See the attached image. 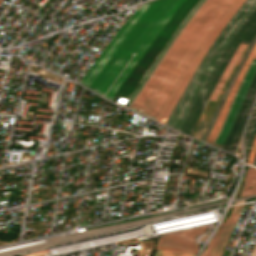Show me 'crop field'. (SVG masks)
I'll list each match as a JSON object with an SVG mask.
<instances>
[{"mask_svg":"<svg viewBox=\"0 0 256 256\" xmlns=\"http://www.w3.org/2000/svg\"><path fill=\"white\" fill-rule=\"evenodd\" d=\"M209 245H210V244H209ZM209 245L207 246V248L205 249V251L203 252V254H202L201 256H205L206 251H207V249H208Z\"/></svg>","mask_w":256,"mask_h":256,"instance_id":"dafd665d","label":"crop field"},{"mask_svg":"<svg viewBox=\"0 0 256 256\" xmlns=\"http://www.w3.org/2000/svg\"><path fill=\"white\" fill-rule=\"evenodd\" d=\"M255 152H256V139H255V142H254L253 147L251 149V152L249 154V158H248V162L247 163L251 164V162H252V160L254 158Z\"/></svg>","mask_w":256,"mask_h":256,"instance_id":"4a817a6b","label":"crop field"},{"mask_svg":"<svg viewBox=\"0 0 256 256\" xmlns=\"http://www.w3.org/2000/svg\"><path fill=\"white\" fill-rule=\"evenodd\" d=\"M205 0H199L197 4L194 6V8L190 11V13L187 15V17L184 19V21L181 23L179 28L176 30L174 35L171 37V39L168 41L166 46L163 48L161 53L158 55V57L155 59V61L152 63V65L149 67L139 84L136 86L130 97L127 99L126 103L124 104V107L130 108L131 104L135 100L136 96L140 92V90L143 88L145 83L147 82L149 76L151 75L152 71L156 67V65L159 63L163 55L166 53L168 50L169 46L173 43V41L176 39L180 31L183 29V27L187 24V22L190 20V18L195 14V12L200 8V6L203 4Z\"/></svg>","mask_w":256,"mask_h":256,"instance_id":"3316defc","label":"crop field"},{"mask_svg":"<svg viewBox=\"0 0 256 256\" xmlns=\"http://www.w3.org/2000/svg\"><path fill=\"white\" fill-rule=\"evenodd\" d=\"M255 97H256V73L250 83L247 94L236 115L234 125L230 133L228 134L222 146V149L229 151L233 154L235 153L241 132L243 130L244 124L246 122L247 116L249 114V111L251 109V106L254 102Z\"/></svg>","mask_w":256,"mask_h":256,"instance_id":"e52e79f7","label":"crop field"},{"mask_svg":"<svg viewBox=\"0 0 256 256\" xmlns=\"http://www.w3.org/2000/svg\"><path fill=\"white\" fill-rule=\"evenodd\" d=\"M255 137H256V121H255V124L253 126L252 132L250 134L249 140L247 142V146H246V150H245V163L247 161V157H248V154L250 152V149L252 147V144L254 142Z\"/></svg>","mask_w":256,"mask_h":256,"instance_id":"d9b57169","label":"crop field"},{"mask_svg":"<svg viewBox=\"0 0 256 256\" xmlns=\"http://www.w3.org/2000/svg\"><path fill=\"white\" fill-rule=\"evenodd\" d=\"M202 230L189 229L159 237L157 249L196 255L198 244L195 237Z\"/></svg>","mask_w":256,"mask_h":256,"instance_id":"d8731c3e","label":"crop field"},{"mask_svg":"<svg viewBox=\"0 0 256 256\" xmlns=\"http://www.w3.org/2000/svg\"><path fill=\"white\" fill-rule=\"evenodd\" d=\"M155 256H193V255H186V254H179V253H173V252H166V251H156Z\"/></svg>","mask_w":256,"mask_h":256,"instance_id":"733c2abd","label":"crop field"},{"mask_svg":"<svg viewBox=\"0 0 256 256\" xmlns=\"http://www.w3.org/2000/svg\"><path fill=\"white\" fill-rule=\"evenodd\" d=\"M255 42H256V36L254 37L253 41L251 42V44H250L248 50H247V51L245 52V54L243 55V57H242V59H241L239 65H238V67H237V69H236V71H235V73H234V75H233V77H232V79H231V81H230V83H229L227 89L225 90L223 96L221 97V99H220V101H219V103H218V105H217V107H216V109H215V112H214V114H213V116H212V118H211V120H210V123H209V125H208V127H207L205 133L203 134V136H202V138H201V141L205 142V140H206V138H207V136H208V134H209V132H210V130H211V128H212V126H213V124H214V122H215L217 116H218V114H219V111H220V109H221V107H222V105H223V103H224V101H225V99H226V97H227V95H228V93H229L231 87H232V85H233V83H234V81H235V79H236V77H237V75H238V73H239V71H240V69H241L243 63L245 62V60H246V58H247V56H248L250 50H251L252 47L254 46Z\"/></svg>","mask_w":256,"mask_h":256,"instance_id":"d1516ede","label":"crop field"},{"mask_svg":"<svg viewBox=\"0 0 256 256\" xmlns=\"http://www.w3.org/2000/svg\"><path fill=\"white\" fill-rule=\"evenodd\" d=\"M251 256H256V246H255V248H254V250H253Z\"/></svg>","mask_w":256,"mask_h":256,"instance_id":"214f88e0","label":"crop field"},{"mask_svg":"<svg viewBox=\"0 0 256 256\" xmlns=\"http://www.w3.org/2000/svg\"><path fill=\"white\" fill-rule=\"evenodd\" d=\"M232 2H204L157 65L130 110L155 119L189 60Z\"/></svg>","mask_w":256,"mask_h":256,"instance_id":"ac0d7876","label":"crop field"},{"mask_svg":"<svg viewBox=\"0 0 256 256\" xmlns=\"http://www.w3.org/2000/svg\"><path fill=\"white\" fill-rule=\"evenodd\" d=\"M197 1L198 0H186L180 6V8L177 10V12L165 26V28L153 41L147 52L144 54V56L141 58V60L138 62L135 68L132 70L128 78L116 92L111 101L116 102L119 96L128 98V96L131 94V92L135 88L136 84L138 83L142 75L145 73V71L148 69L150 64L155 59V57L164 47L171 34L179 26L183 18L192 9V7L196 4Z\"/></svg>","mask_w":256,"mask_h":256,"instance_id":"f4fd0767","label":"crop field"},{"mask_svg":"<svg viewBox=\"0 0 256 256\" xmlns=\"http://www.w3.org/2000/svg\"><path fill=\"white\" fill-rule=\"evenodd\" d=\"M256 70V61L252 60L243 79H242V82L239 86V89L234 97V100H233V103L230 107V110L228 112V115L225 119V122L218 134V136L216 137L215 139V142L219 143L222 145L224 139L226 138L228 132H229V129L234 121V118H235V115H236V112L241 104V101L247 91V88L249 86V83L252 79V76L254 74Z\"/></svg>","mask_w":256,"mask_h":256,"instance_id":"5a996713","label":"crop field"},{"mask_svg":"<svg viewBox=\"0 0 256 256\" xmlns=\"http://www.w3.org/2000/svg\"><path fill=\"white\" fill-rule=\"evenodd\" d=\"M220 229H221V228H220ZM219 231H220V230H219ZM219 231H217L216 236H215V238H214V240H213V242H212V244H211V246H210V248H209V250H208L206 256H209V255H210L211 250H212V248H213V246H214V243H215V241H216V238H217V236H218V234H219Z\"/></svg>","mask_w":256,"mask_h":256,"instance_id":"bc2a9ffb","label":"crop field"},{"mask_svg":"<svg viewBox=\"0 0 256 256\" xmlns=\"http://www.w3.org/2000/svg\"><path fill=\"white\" fill-rule=\"evenodd\" d=\"M252 165L256 166V155H255V158H254V160L252 162Z\"/></svg>","mask_w":256,"mask_h":256,"instance_id":"92a150f3","label":"crop field"},{"mask_svg":"<svg viewBox=\"0 0 256 256\" xmlns=\"http://www.w3.org/2000/svg\"><path fill=\"white\" fill-rule=\"evenodd\" d=\"M244 48H245V45H241L240 44L238 46V48L236 49V51L234 52V54H233V56H232V58H231V60H230V62L228 64L226 70L224 71V73L222 74L221 78L219 79V81H218V83H217V85H216V87H215V89H214V91H213L209 101L215 102L218 94L220 93L222 87L224 86L227 78L229 77L231 71L233 70V68H234L236 62L238 61L240 55L242 54Z\"/></svg>","mask_w":256,"mask_h":256,"instance_id":"cbeb9de0","label":"crop field"},{"mask_svg":"<svg viewBox=\"0 0 256 256\" xmlns=\"http://www.w3.org/2000/svg\"><path fill=\"white\" fill-rule=\"evenodd\" d=\"M244 1L245 0H234V2L229 7L227 12L223 14L221 19L218 21L215 27L211 30V32L205 38L201 47L199 48L196 55L194 56L192 62L190 61L191 63L189 64L184 74L182 75V77L180 78V80L172 90L171 94L169 95L168 99L166 100L165 104L163 105L162 109L160 110L155 120L164 124L166 119L169 117L174 105L179 100L181 94L183 93L187 84L189 83L195 71L197 70L198 66L200 65L201 61L205 57L206 53L208 52V50L210 49L214 41L216 40L218 34L226 25L228 20L232 17V15L237 11V9L243 4Z\"/></svg>","mask_w":256,"mask_h":256,"instance_id":"dd49c442","label":"crop field"},{"mask_svg":"<svg viewBox=\"0 0 256 256\" xmlns=\"http://www.w3.org/2000/svg\"><path fill=\"white\" fill-rule=\"evenodd\" d=\"M243 206H234L232 212L225 221V224L210 256H222Z\"/></svg>","mask_w":256,"mask_h":256,"instance_id":"28ad6ade","label":"crop field"},{"mask_svg":"<svg viewBox=\"0 0 256 256\" xmlns=\"http://www.w3.org/2000/svg\"><path fill=\"white\" fill-rule=\"evenodd\" d=\"M183 1L154 0L141 5L123 23L79 83L111 100Z\"/></svg>","mask_w":256,"mask_h":256,"instance_id":"8a807250","label":"crop field"},{"mask_svg":"<svg viewBox=\"0 0 256 256\" xmlns=\"http://www.w3.org/2000/svg\"><path fill=\"white\" fill-rule=\"evenodd\" d=\"M256 34V8L244 22L241 29L235 34L231 44L227 48L226 52L222 56L206 85L204 86L202 92L194 103L192 109L190 110L182 128L181 132L190 135L203 107L205 106L212 90L214 89L220 75L226 68L234 50L240 42L250 44L252 38ZM180 132V133H181Z\"/></svg>","mask_w":256,"mask_h":256,"instance_id":"412701ff","label":"crop field"},{"mask_svg":"<svg viewBox=\"0 0 256 256\" xmlns=\"http://www.w3.org/2000/svg\"><path fill=\"white\" fill-rule=\"evenodd\" d=\"M252 56L256 57V44L253 47L249 57L247 58V60H246V62L244 64V66H243V68H242V70H241V72H240V74H239V76H238V78H237V80H236V82H235L231 92L229 93V95H228V97H227V99H226V101H225V103H224V105H223V107H222V109L220 111V114H219V116L217 118V121H216V123H215V125H214V127H213V129H212V131L210 133V135L208 136V138L206 140V143L210 144V142H211V140H212V138H213V136H214V134H215V132H216V130H217V128H218V126H219V124H220V122H221V120H222V118H223V116H224V114H225V112L227 110V108H228V105H229V103L231 101V98H232V96L234 94V91H235V89H236V87H237V85H238V83H239V81H240V79H241V77H242V75H243L247 65L249 64Z\"/></svg>","mask_w":256,"mask_h":256,"instance_id":"22f410ed","label":"crop field"},{"mask_svg":"<svg viewBox=\"0 0 256 256\" xmlns=\"http://www.w3.org/2000/svg\"><path fill=\"white\" fill-rule=\"evenodd\" d=\"M251 187V189H249ZM256 194V169L248 166L239 197Z\"/></svg>","mask_w":256,"mask_h":256,"instance_id":"5142ce71","label":"crop field"},{"mask_svg":"<svg viewBox=\"0 0 256 256\" xmlns=\"http://www.w3.org/2000/svg\"><path fill=\"white\" fill-rule=\"evenodd\" d=\"M255 7L256 0H246L239 10L233 15L207 53L203 62L185 89L181 99L176 104L172 114L165 122V125L179 131L186 115L228 47L234 34L239 30L241 24L246 20Z\"/></svg>","mask_w":256,"mask_h":256,"instance_id":"34b2d1b8","label":"crop field"}]
</instances>
